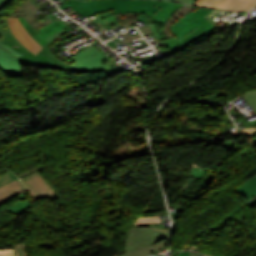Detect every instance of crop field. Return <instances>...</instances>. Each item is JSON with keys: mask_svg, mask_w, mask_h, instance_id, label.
<instances>
[{"mask_svg": "<svg viewBox=\"0 0 256 256\" xmlns=\"http://www.w3.org/2000/svg\"><path fill=\"white\" fill-rule=\"evenodd\" d=\"M190 254V252H182L179 253L178 256H188Z\"/></svg>", "mask_w": 256, "mask_h": 256, "instance_id": "obj_25", "label": "crop field"}, {"mask_svg": "<svg viewBox=\"0 0 256 256\" xmlns=\"http://www.w3.org/2000/svg\"><path fill=\"white\" fill-rule=\"evenodd\" d=\"M15 256H27L25 243L15 245Z\"/></svg>", "mask_w": 256, "mask_h": 256, "instance_id": "obj_18", "label": "crop field"}, {"mask_svg": "<svg viewBox=\"0 0 256 256\" xmlns=\"http://www.w3.org/2000/svg\"><path fill=\"white\" fill-rule=\"evenodd\" d=\"M6 110H10V108H9V107H7V106H5V107H3V108H0V112H2V111H6Z\"/></svg>", "mask_w": 256, "mask_h": 256, "instance_id": "obj_27", "label": "crop field"}, {"mask_svg": "<svg viewBox=\"0 0 256 256\" xmlns=\"http://www.w3.org/2000/svg\"><path fill=\"white\" fill-rule=\"evenodd\" d=\"M251 107L256 111V91H249L243 95Z\"/></svg>", "mask_w": 256, "mask_h": 256, "instance_id": "obj_14", "label": "crop field"}, {"mask_svg": "<svg viewBox=\"0 0 256 256\" xmlns=\"http://www.w3.org/2000/svg\"><path fill=\"white\" fill-rule=\"evenodd\" d=\"M0 256H13V249H0Z\"/></svg>", "mask_w": 256, "mask_h": 256, "instance_id": "obj_19", "label": "crop field"}, {"mask_svg": "<svg viewBox=\"0 0 256 256\" xmlns=\"http://www.w3.org/2000/svg\"><path fill=\"white\" fill-rule=\"evenodd\" d=\"M170 230L150 227H132L129 233L128 249L124 256H147L151 251L167 246Z\"/></svg>", "mask_w": 256, "mask_h": 256, "instance_id": "obj_4", "label": "crop field"}, {"mask_svg": "<svg viewBox=\"0 0 256 256\" xmlns=\"http://www.w3.org/2000/svg\"><path fill=\"white\" fill-rule=\"evenodd\" d=\"M21 23L27 32L33 37V39L38 42L42 47L48 42L45 40V37L59 31L60 29L66 27L63 23L58 20L51 22L42 28L36 30L33 28L30 23H28L23 17L19 18Z\"/></svg>", "mask_w": 256, "mask_h": 256, "instance_id": "obj_9", "label": "crop field"}, {"mask_svg": "<svg viewBox=\"0 0 256 256\" xmlns=\"http://www.w3.org/2000/svg\"><path fill=\"white\" fill-rule=\"evenodd\" d=\"M15 179H17V177L11 171H8L0 176V186Z\"/></svg>", "mask_w": 256, "mask_h": 256, "instance_id": "obj_15", "label": "crop field"}, {"mask_svg": "<svg viewBox=\"0 0 256 256\" xmlns=\"http://www.w3.org/2000/svg\"><path fill=\"white\" fill-rule=\"evenodd\" d=\"M67 33L66 30H61L46 38L49 42L36 55L29 51L21 44L11 33L6 17H0V39L11 47L15 48L24 55L18 58L20 64L35 67H49L55 69H68L71 64L57 59L51 54L49 48L53 41Z\"/></svg>", "mask_w": 256, "mask_h": 256, "instance_id": "obj_2", "label": "crop field"}, {"mask_svg": "<svg viewBox=\"0 0 256 256\" xmlns=\"http://www.w3.org/2000/svg\"><path fill=\"white\" fill-rule=\"evenodd\" d=\"M212 11L205 8L195 9L174 21L171 32L175 37L166 40L171 54L182 50L210 32L218 30L204 17Z\"/></svg>", "mask_w": 256, "mask_h": 256, "instance_id": "obj_1", "label": "crop field"}, {"mask_svg": "<svg viewBox=\"0 0 256 256\" xmlns=\"http://www.w3.org/2000/svg\"><path fill=\"white\" fill-rule=\"evenodd\" d=\"M28 188L29 194L34 201L49 196L51 199L57 198L53 190L45 181L36 173L21 180Z\"/></svg>", "mask_w": 256, "mask_h": 256, "instance_id": "obj_8", "label": "crop field"}, {"mask_svg": "<svg viewBox=\"0 0 256 256\" xmlns=\"http://www.w3.org/2000/svg\"><path fill=\"white\" fill-rule=\"evenodd\" d=\"M249 204H250L251 206H254V205L256 204V198L252 199V200L249 202Z\"/></svg>", "mask_w": 256, "mask_h": 256, "instance_id": "obj_26", "label": "crop field"}, {"mask_svg": "<svg viewBox=\"0 0 256 256\" xmlns=\"http://www.w3.org/2000/svg\"><path fill=\"white\" fill-rule=\"evenodd\" d=\"M113 58L111 55L107 56V60Z\"/></svg>", "mask_w": 256, "mask_h": 256, "instance_id": "obj_31", "label": "crop field"}, {"mask_svg": "<svg viewBox=\"0 0 256 256\" xmlns=\"http://www.w3.org/2000/svg\"><path fill=\"white\" fill-rule=\"evenodd\" d=\"M158 217H140L136 220L134 225H141V224H151V223H158Z\"/></svg>", "mask_w": 256, "mask_h": 256, "instance_id": "obj_16", "label": "crop field"}, {"mask_svg": "<svg viewBox=\"0 0 256 256\" xmlns=\"http://www.w3.org/2000/svg\"><path fill=\"white\" fill-rule=\"evenodd\" d=\"M29 205H30L29 203L22 201L18 204L13 205L10 209H8V211H11L17 214L18 212L30 207Z\"/></svg>", "mask_w": 256, "mask_h": 256, "instance_id": "obj_17", "label": "crop field"}, {"mask_svg": "<svg viewBox=\"0 0 256 256\" xmlns=\"http://www.w3.org/2000/svg\"><path fill=\"white\" fill-rule=\"evenodd\" d=\"M13 35L23 43L33 53L41 50V46L36 43L31 36L25 31L18 18H7Z\"/></svg>", "mask_w": 256, "mask_h": 256, "instance_id": "obj_10", "label": "crop field"}, {"mask_svg": "<svg viewBox=\"0 0 256 256\" xmlns=\"http://www.w3.org/2000/svg\"><path fill=\"white\" fill-rule=\"evenodd\" d=\"M195 5L236 11L237 13H240L243 10L249 12L256 5V0H199Z\"/></svg>", "mask_w": 256, "mask_h": 256, "instance_id": "obj_7", "label": "crop field"}, {"mask_svg": "<svg viewBox=\"0 0 256 256\" xmlns=\"http://www.w3.org/2000/svg\"><path fill=\"white\" fill-rule=\"evenodd\" d=\"M233 190L249 201L254 196H256V176L245 181Z\"/></svg>", "mask_w": 256, "mask_h": 256, "instance_id": "obj_13", "label": "crop field"}, {"mask_svg": "<svg viewBox=\"0 0 256 256\" xmlns=\"http://www.w3.org/2000/svg\"><path fill=\"white\" fill-rule=\"evenodd\" d=\"M154 6L162 7L152 18L155 22H165L181 4L171 3L168 1H155Z\"/></svg>", "mask_w": 256, "mask_h": 256, "instance_id": "obj_12", "label": "crop field"}, {"mask_svg": "<svg viewBox=\"0 0 256 256\" xmlns=\"http://www.w3.org/2000/svg\"><path fill=\"white\" fill-rule=\"evenodd\" d=\"M170 1H173V0H170Z\"/></svg>", "mask_w": 256, "mask_h": 256, "instance_id": "obj_32", "label": "crop field"}, {"mask_svg": "<svg viewBox=\"0 0 256 256\" xmlns=\"http://www.w3.org/2000/svg\"><path fill=\"white\" fill-rule=\"evenodd\" d=\"M174 1L185 3V4H194L197 0H174Z\"/></svg>", "mask_w": 256, "mask_h": 256, "instance_id": "obj_21", "label": "crop field"}, {"mask_svg": "<svg viewBox=\"0 0 256 256\" xmlns=\"http://www.w3.org/2000/svg\"><path fill=\"white\" fill-rule=\"evenodd\" d=\"M11 0H0V9L8 2H10Z\"/></svg>", "mask_w": 256, "mask_h": 256, "instance_id": "obj_23", "label": "crop field"}, {"mask_svg": "<svg viewBox=\"0 0 256 256\" xmlns=\"http://www.w3.org/2000/svg\"><path fill=\"white\" fill-rule=\"evenodd\" d=\"M254 146L256 147V138L252 139Z\"/></svg>", "mask_w": 256, "mask_h": 256, "instance_id": "obj_30", "label": "crop field"}, {"mask_svg": "<svg viewBox=\"0 0 256 256\" xmlns=\"http://www.w3.org/2000/svg\"><path fill=\"white\" fill-rule=\"evenodd\" d=\"M22 54L0 41V68L8 76H23L24 70L17 62Z\"/></svg>", "mask_w": 256, "mask_h": 256, "instance_id": "obj_6", "label": "crop field"}, {"mask_svg": "<svg viewBox=\"0 0 256 256\" xmlns=\"http://www.w3.org/2000/svg\"><path fill=\"white\" fill-rule=\"evenodd\" d=\"M108 30L110 29H113L115 27H118L120 26V23L118 22V20L114 21V22H111V23H108L106 25H104Z\"/></svg>", "mask_w": 256, "mask_h": 256, "instance_id": "obj_20", "label": "crop field"}, {"mask_svg": "<svg viewBox=\"0 0 256 256\" xmlns=\"http://www.w3.org/2000/svg\"><path fill=\"white\" fill-rule=\"evenodd\" d=\"M26 191L19 179L0 188V205L8 199Z\"/></svg>", "mask_w": 256, "mask_h": 256, "instance_id": "obj_11", "label": "crop field"}, {"mask_svg": "<svg viewBox=\"0 0 256 256\" xmlns=\"http://www.w3.org/2000/svg\"><path fill=\"white\" fill-rule=\"evenodd\" d=\"M249 113H250V114L252 113V114L256 115V113H255L254 110H253V111H250ZM246 124L248 125V127L254 126V125H256V120H253V121H251V122H246Z\"/></svg>", "mask_w": 256, "mask_h": 256, "instance_id": "obj_22", "label": "crop field"}, {"mask_svg": "<svg viewBox=\"0 0 256 256\" xmlns=\"http://www.w3.org/2000/svg\"><path fill=\"white\" fill-rule=\"evenodd\" d=\"M159 46L167 44L165 40L158 42Z\"/></svg>", "mask_w": 256, "mask_h": 256, "instance_id": "obj_28", "label": "crop field"}, {"mask_svg": "<svg viewBox=\"0 0 256 256\" xmlns=\"http://www.w3.org/2000/svg\"><path fill=\"white\" fill-rule=\"evenodd\" d=\"M71 59L75 60L68 69L71 72L92 73L110 68L108 64L104 63L106 57L99 53L93 46L79 52Z\"/></svg>", "mask_w": 256, "mask_h": 256, "instance_id": "obj_5", "label": "crop field"}, {"mask_svg": "<svg viewBox=\"0 0 256 256\" xmlns=\"http://www.w3.org/2000/svg\"><path fill=\"white\" fill-rule=\"evenodd\" d=\"M190 256H201V255L195 254V253H192V252H191Z\"/></svg>", "mask_w": 256, "mask_h": 256, "instance_id": "obj_29", "label": "crop field"}, {"mask_svg": "<svg viewBox=\"0 0 256 256\" xmlns=\"http://www.w3.org/2000/svg\"><path fill=\"white\" fill-rule=\"evenodd\" d=\"M66 5L60 7L62 9L72 7L84 17L96 13L114 9L115 14L124 12H138L153 16L160 8L153 7L154 1L148 0H91L81 2L77 0H66Z\"/></svg>", "mask_w": 256, "mask_h": 256, "instance_id": "obj_3", "label": "crop field"}, {"mask_svg": "<svg viewBox=\"0 0 256 256\" xmlns=\"http://www.w3.org/2000/svg\"><path fill=\"white\" fill-rule=\"evenodd\" d=\"M111 69H112L113 73L118 72V71H122V68L113 67Z\"/></svg>", "mask_w": 256, "mask_h": 256, "instance_id": "obj_24", "label": "crop field"}]
</instances>
